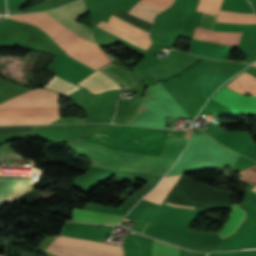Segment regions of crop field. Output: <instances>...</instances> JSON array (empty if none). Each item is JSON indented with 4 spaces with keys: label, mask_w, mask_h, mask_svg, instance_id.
Wrapping results in <instances>:
<instances>
[{
    "label": "crop field",
    "mask_w": 256,
    "mask_h": 256,
    "mask_svg": "<svg viewBox=\"0 0 256 256\" xmlns=\"http://www.w3.org/2000/svg\"><path fill=\"white\" fill-rule=\"evenodd\" d=\"M85 12H87L86 7L80 0L46 13L74 32L95 41L91 30L74 21ZM46 13L11 15L7 17L42 28L66 52L97 69L114 59L106 56L98 48L97 43L77 35Z\"/></svg>",
    "instance_id": "8a807250"
},
{
    "label": "crop field",
    "mask_w": 256,
    "mask_h": 256,
    "mask_svg": "<svg viewBox=\"0 0 256 256\" xmlns=\"http://www.w3.org/2000/svg\"><path fill=\"white\" fill-rule=\"evenodd\" d=\"M188 138L169 137L160 157L113 151L81 139L67 147L86 156L94 166L164 175L174 165Z\"/></svg>",
    "instance_id": "ac0d7876"
},
{
    "label": "crop field",
    "mask_w": 256,
    "mask_h": 256,
    "mask_svg": "<svg viewBox=\"0 0 256 256\" xmlns=\"http://www.w3.org/2000/svg\"><path fill=\"white\" fill-rule=\"evenodd\" d=\"M59 118V95L34 89L0 104V124L49 123Z\"/></svg>",
    "instance_id": "34b2d1b8"
},
{
    "label": "crop field",
    "mask_w": 256,
    "mask_h": 256,
    "mask_svg": "<svg viewBox=\"0 0 256 256\" xmlns=\"http://www.w3.org/2000/svg\"><path fill=\"white\" fill-rule=\"evenodd\" d=\"M141 1L146 2L150 5L155 6V7H158L162 10L167 9L173 2V0H141ZM141 1L137 2L132 7V9L129 11V13H131L135 16H138L142 19H145V20L152 23L154 18H155V15L157 13L161 12L162 10L157 9L153 6H150L148 4H145ZM108 23H110V24H112V25H114V26H116V27H118V28H120V29H122V30H124V31H126V32H128V33H130V34H132V35H134V36H136V37H138V38H140V39H142V40L151 44V39H150V37H148V33L144 32V31H142L138 28H135V27H133V26H131V25L125 23V22H122V21H120V20H118V19H116L112 16L110 17ZM108 23L101 21L100 23L97 24V26H99V27H101V28H103V29H105V30H107V31H109V32H111V33H113V34H115V35H117V36H119V37H121V38H123V39L141 47V48H143V49H145V50H147V48L150 44H148V43H146V42H144V41H142V40L126 33V32H124V31H122V30H120V29H118V28H116V27H114V26H112Z\"/></svg>",
    "instance_id": "412701ff"
},
{
    "label": "crop field",
    "mask_w": 256,
    "mask_h": 256,
    "mask_svg": "<svg viewBox=\"0 0 256 256\" xmlns=\"http://www.w3.org/2000/svg\"><path fill=\"white\" fill-rule=\"evenodd\" d=\"M216 21L226 23H256V15H235L220 11ZM241 33L242 32L210 31L196 27L194 37L237 46Z\"/></svg>",
    "instance_id": "f4fd0767"
},
{
    "label": "crop field",
    "mask_w": 256,
    "mask_h": 256,
    "mask_svg": "<svg viewBox=\"0 0 256 256\" xmlns=\"http://www.w3.org/2000/svg\"><path fill=\"white\" fill-rule=\"evenodd\" d=\"M218 93L236 101L245 102L249 104H256V96H250V97L241 96L225 87L221 89ZM218 93L213 97V100L229 107L230 110L228 114L256 115V105H249V104L236 102Z\"/></svg>",
    "instance_id": "dd49c442"
},
{
    "label": "crop field",
    "mask_w": 256,
    "mask_h": 256,
    "mask_svg": "<svg viewBox=\"0 0 256 256\" xmlns=\"http://www.w3.org/2000/svg\"><path fill=\"white\" fill-rule=\"evenodd\" d=\"M55 242H59L62 244H66L69 246H73L76 248H80L83 250L97 252L102 254H108L113 256H122V250L120 247L112 246L108 244L88 241V240H79V239H71L59 236L56 238Z\"/></svg>",
    "instance_id": "e52e79f7"
},
{
    "label": "crop field",
    "mask_w": 256,
    "mask_h": 256,
    "mask_svg": "<svg viewBox=\"0 0 256 256\" xmlns=\"http://www.w3.org/2000/svg\"><path fill=\"white\" fill-rule=\"evenodd\" d=\"M99 70L101 72H103L105 75L112 78L120 86H122L126 89L137 84L134 76H132L130 73H128L124 69H122L118 66H115L111 63L105 65L104 67H102Z\"/></svg>",
    "instance_id": "d8731c3e"
},
{
    "label": "crop field",
    "mask_w": 256,
    "mask_h": 256,
    "mask_svg": "<svg viewBox=\"0 0 256 256\" xmlns=\"http://www.w3.org/2000/svg\"><path fill=\"white\" fill-rule=\"evenodd\" d=\"M121 216L74 208L72 220L118 224Z\"/></svg>",
    "instance_id": "5a996713"
},
{
    "label": "crop field",
    "mask_w": 256,
    "mask_h": 256,
    "mask_svg": "<svg viewBox=\"0 0 256 256\" xmlns=\"http://www.w3.org/2000/svg\"><path fill=\"white\" fill-rule=\"evenodd\" d=\"M180 177L181 175L163 177L160 183L144 199L161 204Z\"/></svg>",
    "instance_id": "3316defc"
},
{
    "label": "crop field",
    "mask_w": 256,
    "mask_h": 256,
    "mask_svg": "<svg viewBox=\"0 0 256 256\" xmlns=\"http://www.w3.org/2000/svg\"><path fill=\"white\" fill-rule=\"evenodd\" d=\"M245 217V212L238 207L237 205L232 206L231 213L225 222L222 229L218 232L219 235L224 238L228 235H231L237 227H239L241 221ZM237 230V229H236Z\"/></svg>",
    "instance_id": "28ad6ade"
},
{
    "label": "crop field",
    "mask_w": 256,
    "mask_h": 256,
    "mask_svg": "<svg viewBox=\"0 0 256 256\" xmlns=\"http://www.w3.org/2000/svg\"><path fill=\"white\" fill-rule=\"evenodd\" d=\"M229 78L224 76H216V75H209V76H200L198 79L199 86L201 93L206 97L209 98L210 95L226 80Z\"/></svg>",
    "instance_id": "d1516ede"
},
{
    "label": "crop field",
    "mask_w": 256,
    "mask_h": 256,
    "mask_svg": "<svg viewBox=\"0 0 256 256\" xmlns=\"http://www.w3.org/2000/svg\"><path fill=\"white\" fill-rule=\"evenodd\" d=\"M45 88H47L51 91L59 92L65 97V96L69 95L70 93L76 91L80 87H78L72 83H69L67 81H64L55 75L46 84Z\"/></svg>",
    "instance_id": "22f410ed"
},
{
    "label": "crop field",
    "mask_w": 256,
    "mask_h": 256,
    "mask_svg": "<svg viewBox=\"0 0 256 256\" xmlns=\"http://www.w3.org/2000/svg\"><path fill=\"white\" fill-rule=\"evenodd\" d=\"M179 252V247L155 239L153 240L152 256H179Z\"/></svg>",
    "instance_id": "cbeb9de0"
},
{
    "label": "crop field",
    "mask_w": 256,
    "mask_h": 256,
    "mask_svg": "<svg viewBox=\"0 0 256 256\" xmlns=\"http://www.w3.org/2000/svg\"><path fill=\"white\" fill-rule=\"evenodd\" d=\"M215 18L216 17H214V16H209V15L203 14L200 26L204 27V28L212 29L213 24L215 22Z\"/></svg>",
    "instance_id": "5142ce71"
},
{
    "label": "crop field",
    "mask_w": 256,
    "mask_h": 256,
    "mask_svg": "<svg viewBox=\"0 0 256 256\" xmlns=\"http://www.w3.org/2000/svg\"><path fill=\"white\" fill-rule=\"evenodd\" d=\"M68 55V54H67ZM71 57V56H70ZM88 66V65H87Z\"/></svg>",
    "instance_id": "d9b57169"
},
{
    "label": "crop field",
    "mask_w": 256,
    "mask_h": 256,
    "mask_svg": "<svg viewBox=\"0 0 256 256\" xmlns=\"http://www.w3.org/2000/svg\"><path fill=\"white\" fill-rule=\"evenodd\" d=\"M3 256H5V255H3Z\"/></svg>",
    "instance_id": "733c2abd"
}]
</instances>
